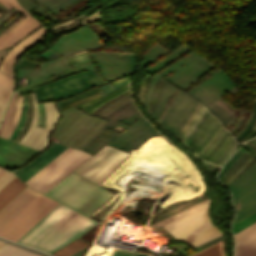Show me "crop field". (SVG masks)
Listing matches in <instances>:
<instances>
[{"label": "crop field", "mask_w": 256, "mask_h": 256, "mask_svg": "<svg viewBox=\"0 0 256 256\" xmlns=\"http://www.w3.org/2000/svg\"><path fill=\"white\" fill-rule=\"evenodd\" d=\"M96 221L58 204L17 243L50 253L93 226Z\"/></svg>", "instance_id": "1"}, {"label": "crop field", "mask_w": 256, "mask_h": 256, "mask_svg": "<svg viewBox=\"0 0 256 256\" xmlns=\"http://www.w3.org/2000/svg\"><path fill=\"white\" fill-rule=\"evenodd\" d=\"M210 201L208 194H204L161 226L173 238L183 240L193 247L220 235L221 231L210 223Z\"/></svg>", "instance_id": "2"}, {"label": "crop field", "mask_w": 256, "mask_h": 256, "mask_svg": "<svg viewBox=\"0 0 256 256\" xmlns=\"http://www.w3.org/2000/svg\"><path fill=\"white\" fill-rule=\"evenodd\" d=\"M45 195L88 216L113 194L71 173Z\"/></svg>", "instance_id": "3"}, {"label": "crop field", "mask_w": 256, "mask_h": 256, "mask_svg": "<svg viewBox=\"0 0 256 256\" xmlns=\"http://www.w3.org/2000/svg\"><path fill=\"white\" fill-rule=\"evenodd\" d=\"M57 204L40 194L0 230V236L16 242Z\"/></svg>", "instance_id": "4"}, {"label": "crop field", "mask_w": 256, "mask_h": 256, "mask_svg": "<svg viewBox=\"0 0 256 256\" xmlns=\"http://www.w3.org/2000/svg\"><path fill=\"white\" fill-rule=\"evenodd\" d=\"M33 99V118L30 124V128L20 143L29 147L42 150L47 145V135L51 131L53 125L59 119V114L54 105V102L44 103L46 112V125L45 128L36 126L37 123V105L34 93L31 94Z\"/></svg>", "instance_id": "5"}, {"label": "crop field", "mask_w": 256, "mask_h": 256, "mask_svg": "<svg viewBox=\"0 0 256 256\" xmlns=\"http://www.w3.org/2000/svg\"><path fill=\"white\" fill-rule=\"evenodd\" d=\"M90 156L83 151L75 149L29 186L45 192Z\"/></svg>", "instance_id": "6"}, {"label": "crop field", "mask_w": 256, "mask_h": 256, "mask_svg": "<svg viewBox=\"0 0 256 256\" xmlns=\"http://www.w3.org/2000/svg\"><path fill=\"white\" fill-rule=\"evenodd\" d=\"M124 154L106 145L74 172L96 183Z\"/></svg>", "instance_id": "7"}, {"label": "crop field", "mask_w": 256, "mask_h": 256, "mask_svg": "<svg viewBox=\"0 0 256 256\" xmlns=\"http://www.w3.org/2000/svg\"><path fill=\"white\" fill-rule=\"evenodd\" d=\"M127 81H128V80L113 85L114 90H115L118 86H120V85H122V84H124V83H127ZM126 85H128V84H125V85H123V86L117 88L115 91L119 90L120 88H122V87H124V86H126ZM113 88H112L111 85H109V84L100 87V89H101V91L103 92L104 95L107 94V93H109V92H111V91H113ZM126 90H128V86H126V87L120 89V90L117 91V92L114 91L115 93L112 92L113 94L110 93V94H112V95L108 94V95H110V96L106 95V96H108V97L104 96V97H106V98H104L103 96H101L102 94H101V92H99L98 87H96V88H93V89H91V90H88V91H86V92H84V93H82V94H80V95L74 96V97H72V98H70V99L63 100V101H59V102H57V106L59 107V106H62V105H64V104L70 103V102H72V101H75V100H78V99H80V98L86 97V96L91 95V94H94V93H96V92H99V93H96V94H94V95L88 96V97H86V98L80 99V100H78V101L72 102V103H70V104H67V105H64V106L58 108L59 111H61V110H64V109L73 107V106L78 105V104H80V103H83V102H86V101L91 100V99H93V98H96V97L101 96V97H99V98L93 99V100H91V101H88V102H86V103H83V104H80V105L77 106V107H79L80 109H82V108H84V107H86V106H88V105H90V104H92V103H94V102H96V101H98V100L104 98L103 100H101V101H99V102H97V103H95V104H92V105H90V106H88V107L82 109V110H84V111H86V112L91 113L93 110H95L98 106H100V105H101L102 103H104L105 101L111 99L112 97H114V96H116V95H118V94H120V93H122V92H124V91H126Z\"/></svg>", "instance_id": "8"}, {"label": "crop field", "mask_w": 256, "mask_h": 256, "mask_svg": "<svg viewBox=\"0 0 256 256\" xmlns=\"http://www.w3.org/2000/svg\"><path fill=\"white\" fill-rule=\"evenodd\" d=\"M0 3L2 5H4L6 8H8L9 10L12 8L10 5H12L14 8H16L19 12H21L23 15L21 16V18L16 22V24L24 17V19L19 23V24H15L13 27H11L10 29H12L11 31L7 30L6 32H8L7 34L3 33L0 36V49L6 48L8 46L13 45L14 43H16L18 40H20L22 37H24L25 35H27L28 33H30L31 31L35 30L36 28L39 27L40 22L38 20H36L34 17L30 16L24 9H22L17 0H0ZM10 5H9V4ZM5 34V35H4Z\"/></svg>", "instance_id": "9"}, {"label": "crop field", "mask_w": 256, "mask_h": 256, "mask_svg": "<svg viewBox=\"0 0 256 256\" xmlns=\"http://www.w3.org/2000/svg\"><path fill=\"white\" fill-rule=\"evenodd\" d=\"M38 151L0 138V166L16 169Z\"/></svg>", "instance_id": "10"}, {"label": "crop field", "mask_w": 256, "mask_h": 256, "mask_svg": "<svg viewBox=\"0 0 256 256\" xmlns=\"http://www.w3.org/2000/svg\"><path fill=\"white\" fill-rule=\"evenodd\" d=\"M65 148L67 147L52 142V145L48 149H46L28 165L15 171L14 173L25 182L43 166L50 162L54 157L61 153Z\"/></svg>", "instance_id": "11"}, {"label": "crop field", "mask_w": 256, "mask_h": 256, "mask_svg": "<svg viewBox=\"0 0 256 256\" xmlns=\"http://www.w3.org/2000/svg\"><path fill=\"white\" fill-rule=\"evenodd\" d=\"M45 32L46 31L42 26L23 41H21L19 44L14 46L2 60L0 64V70L12 75V65L17 60V58L26 50H28L32 45H34L38 40H40Z\"/></svg>", "instance_id": "12"}, {"label": "crop field", "mask_w": 256, "mask_h": 256, "mask_svg": "<svg viewBox=\"0 0 256 256\" xmlns=\"http://www.w3.org/2000/svg\"><path fill=\"white\" fill-rule=\"evenodd\" d=\"M234 256H256V223L234 235Z\"/></svg>", "instance_id": "13"}, {"label": "crop field", "mask_w": 256, "mask_h": 256, "mask_svg": "<svg viewBox=\"0 0 256 256\" xmlns=\"http://www.w3.org/2000/svg\"><path fill=\"white\" fill-rule=\"evenodd\" d=\"M39 193L26 188L0 212V229L28 205Z\"/></svg>", "instance_id": "14"}, {"label": "crop field", "mask_w": 256, "mask_h": 256, "mask_svg": "<svg viewBox=\"0 0 256 256\" xmlns=\"http://www.w3.org/2000/svg\"><path fill=\"white\" fill-rule=\"evenodd\" d=\"M255 163L256 159L245 151L219 180L229 186Z\"/></svg>", "instance_id": "15"}, {"label": "crop field", "mask_w": 256, "mask_h": 256, "mask_svg": "<svg viewBox=\"0 0 256 256\" xmlns=\"http://www.w3.org/2000/svg\"><path fill=\"white\" fill-rule=\"evenodd\" d=\"M16 98H17V94L14 95V97L9 105V108L6 112L1 130H0V136L5 137V138H9L10 134L12 133V131L14 130L15 126L17 125V123L19 121L23 97L18 96L17 102H16ZM15 102H16V106H15ZM14 106H15L14 114L11 118V114H12V110H13Z\"/></svg>", "instance_id": "16"}, {"label": "crop field", "mask_w": 256, "mask_h": 256, "mask_svg": "<svg viewBox=\"0 0 256 256\" xmlns=\"http://www.w3.org/2000/svg\"><path fill=\"white\" fill-rule=\"evenodd\" d=\"M20 181L15 177L0 191V209L25 187Z\"/></svg>", "instance_id": "17"}, {"label": "crop field", "mask_w": 256, "mask_h": 256, "mask_svg": "<svg viewBox=\"0 0 256 256\" xmlns=\"http://www.w3.org/2000/svg\"><path fill=\"white\" fill-rule=\"evenodd\" d=\"M88 244L80 241L75 240L72 243L68 244L64 248L52 253L54 256H70L71 254L75 253L76 251L80 250L81 248L87 246Z\"/></svg>", "instance_id": "18"}, {"label": "crop field", "mask_w": 256, "mask_h": 256, "mask_svg": "<svg viewBox=\"0 0 256 256\" xmlns=\"http://www.w3.org/2000/svg\"><path fill=\"white\" fill-rule=\"evenodd\" d=\"M192 256H226L223 248V240Z\"/></svg>", "instance_id": "19"}, {"label": "crop field", "mask_w": 256, "mask_h": 256, "mask_svg": "<svg viewBox=\"0 0 256 256\" xmlns=\"http://www.w3.org/2000/svg\"><path fill=\"white\" fill-rule=\"evenodd\" d=\"M74 148L68 147L66 150H64L61 154H59L56 158H54L50 163H48L45 167H43L39 172H37L34 176H32L28 181L25 183L29 185L32 183L35 179H37L39 176H41L44 172H46L49 168H51L53 165H55L58 161H60L63 157H65L67 154H69Z\"/></svg>", "instance_id": "20"}, {"label": "crop field", "mask_w": 256, "mask_h": 256, "mask_svg": "<svg viewBox=\"0 0 256 256\" xmlns=\"http://www.w3.org/2000/svg\"><path fill=\"white\" fill-rule=\"evenodd\" d=\"M0 256H37L10 245H3L0 248Z\"/></svg>", "instance_id": "21"}, {"label": "crop field", "mask_w": 256, "mask_h": 256, "mask_svg": "<svg viewBox=\"0 0 256 256\" xmlns=\"http://www.w3.org/2000/svg\"><path fill=\"white\" fill-rule=\"evenodd\" d=\"M224 130L225 129H223L220 124L219 128L216 130L210 141L203 147V149L196 156L202 159L207 154V152L215 145V143L217 142L221 134L224 132Z\"/></svg>", "instance_id": "22"}, {"label": "crop field", "mask_w": 256, "mask_h": 256, "mask_svg": "<svg viewBox=\"0 0 256 256\" xmlns=\"http://www.w3.org/2000/svg\"><path fill=\"white\" fill-rule=\"evenodd\" d=\"M255 222H256V212L244 218L243 220L237 222L236 224L232 225L233 234L238 233L239 231L245 229L246 227L250 226Z\"/></svg>", "instance_id": "23"}, {"label": "crop field", "mask_w": 256, "mask_h": 256, "mask_svg": "<svg viewBox=\"0 0 256 256\" xmlns=\"http://www.w3.org/2000/svg\"><path fill=\"white\" fill-rule=\"evenodd\" d=\"M235 141L233 139L230 141V143L227 145V147L224 149V151L218 156V158L213 162V164L218 165V163L221 161V159L224 157V155L227 153V151L230 149V147L233 145ZM238 143L235 142V144L232 146V148L229 150V152L226 154V156L223 158V160L220 162V166L223 165V163L228 159V157L232 154V152L236 149Z\"/></svg>", "instance_id": "24"}, {"label": "crop field", "mask_w": 256, "mask_h": 256, "mask_svg": "<svg viewBox=\"0 0 256 256\" xmlns=\"http://www.w3.org/2000/svg\"><path fill=\"white\" fill-rule=\"evenodd\" d=\"M226 132H227V131H226ZM226 132H225V133H226ZM227 133H228V132H227ZM227 133H226V135H227ZM223 134H224V133H223ZM228 134H229V133H228ZM226 135H225V136H226ZM223 136H224V135H223ZM223 136H222V137H223ZM225 136H224L223 138L221 137L222 140L225 138ZM228 136H229V135H228ZM228 136H227V137H228ZM231 137H232V135L230 134V136L227 138V140H226V139H225L226 141L224 140L225 143L223 144L224 141L222 142V144H223V145L221 144L222 147L219 145V144L221 143V141H222V140L220 139V140H221V141L219 140L220 143H219V141H218L217 144L219 143L218 145L221 147V150L219 151V149H220L219 146H218V147H219L218 150L215 149V151L217 150L216 152L213 150V149L216 147V145H217V144H216V145L212 148V150H213L215 153H214L212 150H211V151L214 153V155H215L218 151H219V152H218L215 156L213 155V156H214V157H213V156H212L213 153L210 151L212 154L209 152L211 155L208 153L210 156L207 154L209 157H208L207 155H206V156H207L208 158L205 156L207 159L204 157V158L206 159V161L212 156L213 158L211 157L212 159L210 158L211 160H210V159H209L210 161L208 160L209 162L212 163V162L216 159V157H217V156L223 151V149L226 147V145H227L228 142L230 141ZM204 158H203V159H204ZM205 159H204V160H205Z\"/></svg>", "instance_id": "25"}, {"label": "crop field", "mask_w": 256, "mask_h": 256, "mask_svg": "<svg viewBox=\"0 0 256 256\" xmlns=\"http://www.w3.org/2000/svg\"><path fill=\"white\" fill-rule=\"evenodd\" d=\"M245 150L240 147L235 154L229 159V161L224 165L223 169L218 174V179L225 173V171L238 159V157L244 152Z\"/></svg>", "instance_id": "26"}, {"label": "crop field", "mask_w": 256, "mask_h": 256, "mask_svg": "<svg viewBox=\"0 0 256 256\" xmlns=\"http://www.w3.org/2000/svg\"><path fill=\"white\" fill-rule=\"evenodd\" d=\"M26 111H27V96L24 95V108L22 110V117H21V120L20 122L18 123V125L16 126L12 136L10 137L11 140H14L15 137L17 136V134L19 133L20 131V128L22 127L23 123H24V119H25V116H26Z\"/></svg>", "instance_id": "27"}, {"label": "crop field", "mask_w": 256, "mask_h": 256, "mask_svg": "<svg viewBox=\"0 0 256 256\" xmlns=\"http://www.w3.org/2000/svg\"><path fill=\"white\" fill-rule=\"evenodd\" d=\"M127 96H129V95H126V96H124V97L120 98L119 100H121V99H123V98H125V97H127ZM129 98H130V97H129ZM126 99H128V98H126ZM126 99H124V100H126ZM119 100H117V101H119ZM124 100H122V101H124ZM130 100H132V99L130 98V99H128V100H126V101H124V102L120 101V102H122V103H120V102H119L120 104H119V103H117V104H119V105L115 104V105H113L112 107H114V106H116V105H117L116 107H114V108H112V107H111L112 109H111V108H109V109H111V110H110V111H108V110H109V109H108V110H107L108 112L106 111L107 113H106V112H104L108 107H110L112 104H114L115 102H117V101H115L114 103H112V104H110L108 107H106L103 111L101 110L102 112H104L102 115H100V114L102 113L101 111H100L101 113H99L98 115H100V117H101V116H103V115L106 113V114L102 117V118H105V117H106L107 115H109L113 110H115L116 108H118L119 106H121V105L125 104L126 102H128V101H130ZM98 115H97V116H98Z\"/></svg>", "instance_id": "28"}, {"label": "crop field", "mask_w": 256, "mask_h": 256, "mask_svg": "<svg viewBox=\"0 0 256 256\" xmlns=\"http://www.w3.org/2000/svg\"><path fill=\"white\" fill-rule=\"evenodd\" d=\"M200 103L199 105L196 107V109L193 111V113L191 114V116L189 117V119L186 121V123L184 124V126L182 127V129L179 131V133L177 134V137L178 135L181 133V131L184 129V127L186 126V124L189 122V120L192 118V116L194 115V113L197 111V109L200 107ZM202 107V106H201ZM201 107L198 109V111L195 113V115L193 116V118L190 120V122L187 124V126L185 127V129L182 131V133L179 135V139L180 137L183 135V133L185 132V130L188 128V126L190 125V123L192 122V120L195 118V116L197 115V113L199 112V110L201 109Z\"/></svg>", "instance_id": "29"}, {"label": "crop field", "mask_w": 256, "mask_h": 256, "mask_svg": "<svg viewBox=\"0 0 256 256\" xmlns=\"http://www.w3.org/2000/svg\"><path fill=\"white\" fill-rule=\"evenodd\" d=\"M74 56H75V58H76V60H77V62L79 64V66L88 63L89 56H88L87 52L75 54Z\"/></svg>", "instance_id": "30"}, {"label": "crop field", "mask_w": 256, "mask_h": 256, "mask_svg": "<svg viewBox=\"0 0 256 256\" xmlns=\"http://www.w3.org/2000/svg\"><path fill=\"white\" fill-rule=\"evenodd\" d=\"M0 83L9 88H12L13 79L9 76L0 73Z\"/></svg>", "instance_id": "31"}, {"label": "crop field", "mask_w": 256, "mask_h": 256, "mask_svg": "<svg viewBox=\"0 0 256 256\" xmlns=\"http://www.w3.org/2000/svg\"><path fill=\"white\" fill-rule=\"evenodd\" d=\"M9 173L6 172L2 177H0V190L14 178V176L11 175L12 173Z\"/></svg>", "instance_id": "32"}, {"label": "crop field", "mask_w": 256, "mask_h": 256, "mask_svg": "<svg viewBox=\"0 0 256 256\" xmlns=\"http://www.w3.org/2000/svg\"><path fill=\"white\" fill-rule=\"evenodd\" d=\"M219 122L217 121L215 127L213 128V130L211 131V133L209 134V136L204 140V142L198 147V149L195 151V153L197 154L201 148L209 141V139L211 138V136L213 135V133L215 132V130L218 128L219 126Z\"/></svg>", "instance_id": "33"}, {"label": "crop field", "mask_w": 256, "mask_h": 256, "mask_svg": "<svg viewBox=\"0 0 256 256\" xmlns=\"http://www.w3.org/2000/svg\"><path fill=\"white\" fill-rule=\"evenodd\" d=\"M10 94H11V90L0 85V95L1 96H3L6 99H9Z\"/></svg>", "instance_id": "34"}, {"label": "crop field", "mask_w": 256, "mask_h": 256, "mask_svg": "<svg viewBox=\"0 0 256 256\" xmlns=\"http://www.w3.org/2000/svg\"><path fill=\"white\" fill-rule=\"evenodd\" d=\"M8 100L4 99L3 97L0 96V119H1V116L3 114V111L6 107V104H7Z\"/></svg>", "instance_id": "35"}, {"label": "crop field", "mask_w": 256, "mask_h": 256, "mask_svg": "<svg viewBox=\"0 0 256 256\" xmlns=\"http://www.w3.org/2000/svg\"><path fill=\"white\" fill-rule=\"evenodd\" d=\"M136 253L131 252H122V251H115V253L112 256H137Z\"/></svg>", "instance_id": "36"}, {"label": "crop field", "mask_w": 256, "mask_h": 256, "mask_svg": "<svg viewBox=\"0 0 256 256\" xmlns=\"http://www.w3.org/2000/svg\"><path fill=\"white\" fill-rule=\"evenodd\" d=\"M149 78H150V76H147V77H146V79L144 80V82H143V84H142V86H141V89H140V91H139V96H140V98H141V101H142V97H143V93H144L145 86H146V84H147Z\"/></svg>", "instance_id": "37"}, {"label": "crop field", "mask_w": 256, "mask_h": 256, "mask_svg": "<svg viewBox=\"0 0 256 256\" xmlns=\"http://www.w3.org/2000/svg\"><path fill=\"white\" fill-rule=\"evenodd\" d=\"M202 108H203V107H202ZM203 109H204V108H203ZM200 111H201V110H200ZM202 111H203V110H202ZM202 111H201V112H202ZM204 111H205V109H204ZM204 111L202 112V114L204 113ZM201 112L199 113V115L201 114ZM202 114H201L200 116L198 115L199 117L197 118L196 122H195V121H194L195 123L193 122L194 125L192 124L193 126H192V125H191L192 127L190 126L191 128H190V130L187 132V134H186L185 136L183 135V136H184L183 140L186 138V136L189 134V132H190V131L192 130V128L195 126V124H196L197 121L200 119V117L202 116ZM187 130H188V129H187ZM187 130H186V131H187ZM185 133H186V132H185ZM185 133H184V134H185ZM183 136H182V137H183ZM182 137H181V138H182ZM181 140H182V139H181Z\"/></svg>", "instance_id": "38"}, {"label": "crop field", "mask_w": 256, "mask_h": 256, "mask_svg": "<svg viewBox=\"0 0 256 256\" xmlns=\"http://www.w3.org/2000/svg\"><path fill=\"white\" fill-rule=\"evenodd\" d=\"M113 131H110V130H106L102 135H101V137H103V138H105V139H109L112 135H113Z\"/></svg>", "instance_id": "39"}, {"label": "crop field", "mask_w": 256, "mask_h": 256, "mask_svg": "<svg viewBox=\"0 0 256 256\" xmlns=\"http://www.w3.org/2000/svg\"><path fill=\"white\" fill-rule=\"evenodd\" d=\"M66 59L68 60V62L70 63V65L76 64V61H75L73 55L66 56Z\"/></svg>", "instance_id": "40"}, {"label": "crop field", "mask_w": 256, "mask_h": 256, "mask_svg": "<svg viewBox=\"0 0 256 256\" xmlns=\"http://www.w3.org/2000/svg\"><path fill=\"white\" fill-rule=\"evenodd\" d=\"M242 144L256 156V152L250 146H248L245 142Z\"/></svg>", "instance_id": "41"}, {"label": "crop field", "mask_w": 256, "mask_h": 256, "mask_svg": "<svg viewBox=\"0 0 256 256\" xmlns=\"http://www.w3.org/2000/svg\"><path fill=\"white\" fill-rule=\"evenodd\" d=\"M251 115H252V113H251ZM251 115H250V118H251ZM250 118H249V120H250ZM249 120H248V122H249ZM248 122H247V123H248ZM247 123L245 124V126L247 125ZM245 126H244V127H245ZM244 127L242 128V130L244 129ZM242 130H241V131H242ZM241 131H240L239 133H237L234 137H237V136L241 133Z\"/></svg>", "instance_id": "42"}, {"label": "crop field", "mask_w": 256, "mask_h": 256, "mask_svg": "<svg viewBox=\"0 0 256 256\" xmlns=\"http://www.w3.org/2000/svg\"><path fill=\"white\" fill-rule=\"evenodd\" d=\"M128 78H129V77L123 78V79H120V80H117V81H115V82H111V85H113V84H115V83H117V82H120V81H122V80L128 79Z\"/></svg>", "instance_id": "43"}, {"label": "crop field", "mask_w": 256, "mask_h": 256, "mask_svg": "<svg viewBox=\"0 0 256 256\" xmlns=\"http://www.w3.org/2000/svg\"><path fill=\"white\" fill-rule=\"evenodd\" d=\"M255 140H256V137L254 138ZM253 139V140H254ZM252 139L251 140H249L250 142H252L255 146H256V142L255 141H253Z\"/></svg>", "instance_id": "44"}, {"label": "crop field", "mask_w": 256, "mask_h": 256, "mask_svg": "<svg viewBox=\"0 0 256 256\" xmlns=\"http://www.w3.org/2000/svg\"><path fill=\"white\" fill-rule=\"evenodd\" d=\"M248 142H249V141H248ZM248 142H246L248 145L251 144L254 148H256L252 143L249 142V143H250V144H249ZM251 145H250V146H251ZM252 146H251V147H252ZM253 147H252V148H253ZM254 148H253V149H254ZM254 150L256 151V149H254Z\"/></svg>", "instance_id": "45"}, {"label": "crop field", "mask_w": 256, "mask_h": 256, "mask_svg": "<svg viewBox=\"0 0 256 256\" xmlns=\"http://www.w3.org/2000/svg\"><path fill=\"white\" fill-rule=\"evenodd\" d=\"M79 1V0H78ZM77 2V1H76ZM75 3V2H74ZM73 4V3H72ZM66 8V7H65ZM64 9V8H63ZM63 9H61V10H63ZM61 10H59V11H61ZM59 11H57V12H59ZM57 12H55V13H57ZM55 13H53V14H55Z\"/></svg>", "instance_id": "46"}, {"label": "crop field", "mask_w": 256, "mask_h": 256, "mask_svg": "<svg viewBox=\"0 0 256 256\" xmlns=\"http://www.w3.org/2000/svg\"><path fill=\"white\" fill-rule=\"evenodd\" d=\"M138 256H147V255H144V254H139Z\"/></svg>", "instance_id": "47"}, {"label": "crop field", "mask_w": 256, "mask_h": 256, "mask_svg": "<svg viewBox=\"0 0 256 256\" xmlns=\"http://www.w3.org/2000/svg\"><path fill=\"white\" fill-rule=\"evenodd\" d=\"M3 244H5V243H3V242H0V247H1Z\"/></svg>", "instance_id": "48"}, {"label": "crop field", "mask_w": 256, "mask_h": 256, "mask_svg": "<svg viewBox=\"0 0 256 256\" xmlns=\"http://www.w3.org/2000/svg\"><path fill=\"white\" fill-rule=\"evenodd\" d=\"M253 128H255L256 129V123H255V125H254V127Z\"/></svg>", "instance_id": "49"}, {"label": "crop field", "mask_w": 256, "mask_h": 256, "mask_svg": "<svg viewBox=\"0 0 256 256\" xmlns=\"http://www.w3.org/2000/svg\"><path fill=\"white\" fill-rule=\"evenodd\" d=\"M0 9H1V8H0ZM1 10H2V9H1ZM1 10H0V11H1ZM2 11H4V10H2ZM4 12H6V11H4Z\"/></svg>", "instance_id": "50"}, {"label": "crop field", "mask_w": 256, "mask_h": 256, "mask_svg": "<svg viewBox=\"0 0 256 256\" xmlns=\"http://www.w3.org/2000/svg\"><path fill=\"white\" fill-rule=\"evenodd\" d=\"M148 256H150V255H148Z\"/></svg>", "instance_id": "51"}, {"label": "crop field", "mask_w": 256, "mask_h": 256, "mask_svg": "<svg viewBox=\"0 0 256 256\" xmlns=\"http://www.w3.org/2000/svg\"><path fill=\"white\" fill-rule=\"evenodd\" d=\"M256 99V98H255Z\"/></svg>", "instance_id": "52"}]
</instances>
